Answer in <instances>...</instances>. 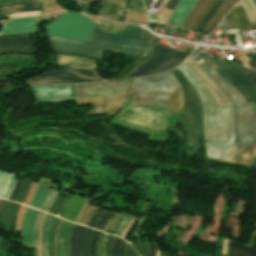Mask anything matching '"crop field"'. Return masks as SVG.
Wrapping results in <instances>:
<instances>
[{"mask_svg":"<svg viewBox=\"0 0 256 256\" xmlns=\"http://www.w3.org/2000/svg\"><path fill=\"white\" fill-rule=\"evenodd\" d=\"M125 244L126 242L114 236L111 248V256H124Z\"/></svg>","mask_w":256,"mask_h":256,"instance_id":"crop-field-28","label":"crop field"},{"mask_svg":"<svg viewBox=\"0 0 256 256\" xmlns=\"http://www.w3.org/2000/svg\"><path fill=\"white\" fill-rule=\"evenodd\" d=\"M70 70L75 71L83 76H89V77H94V78H98V76L96 75V73L92 70H82V69H72L70 68ZM99 79V78H98Z\"/></svg>","mask_w":256,"mask_h":256,"instance_id":"crop-field-41","label":"crop field"},{"mask_svg":"<svg viewBox=\"0 0 256 256\" xmlns=\"http://www.w3.org/2000/svg\"><path fill=\"white\" fill-rule=\"evenodd\" d=\"M200 66L225 90L235 105L237 145L232 164L251 166L256 152V106L227 81L214 72L206 62Z\"/></svg>","mask_w":256,"mask_h":256,"instance_id":"crop-field-3","label":"crop field"},{"mask_svg":"<svg viewBox=\"0 0 256 256\" xmlns=\"http://www.w3.org/2000/svg\"><path fill=\"white\" fill-rule=\"evenodd\" d=\"M60 185L61 184L53 183L52 191H51L48 199L46 200V202H45V204L42 208V211L48 212V210H49V208H50V206H51V204H52V202H53V200H54V198H55V196H56V194H57V192L60 188Z\"/></svg>","mask_w":256,"mask_h":256,"instance_id":"crop-field-35","label":"crop field"},{"mask_svg":"<svg viewBox=\"0 0 256 256\" xmlns=\"http://www.w3.org/2000/svg\"><path fill=\"white\" fill-rule=\"evenodd\" d=\"M52 219V216L46 215L44 224H43V233H42V254L43 256H47V231L48 225Z\"/></svg>","mask_w":256,"mask_h":256,"instance_id":"crop-field-33","label":"crop field"},{"mask_svg":"<svg viewBox=\"0 0 256 256\" xmlns=\"http://www.w3.org/2000/svg\"><path fill=\"white\" fill-rule=\"evenodd\" d=\"M92 229H88L84 235L83 239V246H82V256H88V246H89V241H90V236L92 233Z\"/></svg>","mask_w":256,"mask_h":256,"instance_id":"crop-field-37","label":"crop field"},{"mask_svg":"<svg viewBox=\"0 0 256 256\" xmlns=\"http://www.w3.org/2000/svg\"><path fill=\"white\" fill-rule=\"evenodd\" d=\"M133 94L129 95L122 110L111 123L149 134V139L163 140L164 127H175L182 122V108L132 105Z\"/></svg>","mask_w":256,"mask_h":256,"instance_id":"crop-field-4","label":"crop field"},{"mask_svg":"<svg viewBox=\"0 0 256 256\" xmlns=\"http://www.w3.org/2000/svg\"><path fill=\"white\" fill-rule=\"evenodd\" d=\"M134 250L127 244L126 245V251H125V256H133Z\"/></svg>","mask_w":256,"mask_h":256,"instance_id":"crop-field-47","label":"crop field"},{"mask_svg":"<svg viewBox=\"0 0 256 256\" xmlns=\"http://www.w3.org/2000/svg\"><path fill=\"white\" fill-rule=\"evenodd\" d=\"M29 33L0 36V49L28 46Z\"/></svg>","mask_w":256,"mask_h":256,"instance_id":"crop-field-23","label":"crop field"},{"mask_svg":"<svg viewBox=\"0 0 256 256\" xmlns=\"http://www.w3.org/2000/svg\"><path fill=\"white\" fill-rule=\"evenodd\" d=\"M184 90V123L187 128V145L199 143L202 133V103L181 72L170 70Z\"/></svg>","mask_w":256,"mask_h":256,"instance_id":"crop-field-7","label":"crop field"},{"mask_svg":"<svg viewBox=\"0 0 256 256\" xmlns=\"http://www.w3.org/2000/svg\"><path fill=\"white\" fill-rule=\"evenodd\" d=\"M37 53H38V47H25V48L0 50V55H8V54H37Z\"/></svg>","mask_w":256,"mask_h":256,"instance_id":"crop-field-29","label":"crop field"},{"mask_svg":"<svg viewBox=\"0 0 256 256\" xmlns=\"http://www.w3.org/2000/svg\"><path fill=\"white\" fill-rule=\"evenodd\" d=\"M253 169H255V170H256V161H255V164H254V166H253Z\"/></svg>","mask_w":256,"mask_h":256,"instance_id":"crop-field-51","label":"crop field"},{"mask_svg":"<svg viewBox=\"0 0 256 256\" xmlns=\"http://www.w3.org/2000/svg\"><path fill=\"white\" fill-rule=\"evenodd\" d=\"M32 90L37 102H57L76 99L74 84L63 86H43L32 88Z\"/></svg>","mask_w":256,"mask_h":256,"instance_id":"crop-field-13","label":"crop field"},{"mask_svg":"<svg viewBox=\"0 0 256 256\" xmlns=\"http://www.w3.org/2000/svg\"><path fill=\"white\" fill-rule=\"evenodd\" d=\"M40 14H43L42 11H38V12H28V13H18V14H8V15H1V16L18 17V16L40 15Z\"/></svg>","mask_w":256,"mask_h":256,"instance_id":"crop-field-43","label":"crop field"},{"mask_svg":"<svg viewBox=\"0 0 256 256\" xmlns=\"http://www.w3.org/2000/svg\"><path fill=\"white\" fill-rule=\"evenodd\" d=\"M226 26H219L220 30L241 27L242 30H256V24H250L244 11L239 5L225 16Z\"/></svg>","mask_w":256,"mask_h":256,"instance_id":"crop-field-17","label":"crop field"},{"mask_svg":"<svg viewBox=\"0 0 256 256\" xmlns=\"http://www.w3.org/2000/svg\"><path fill=\"white\" fill-rule=\"evenodd\" d=\"M124 215L125 213H115L114 216L111 218L110 222L108 223L105 231L114 233L118 223L120 222V220Z\"/></svg>","mask_w":256,"mask_h":256,"instance_id":"crop-field-36","label":"crop field"},{"mask_svg":"<svg viewBox=\"0 0 256 256\" xmlns=\"http://www.w3.org/2000/svg\"><path fill=\"white\" fill-rule=\"evenodd\" d=\"M146 30L129 24H123L120 33L139 38Z\"/></svg>","mask_w":256,"mask_h":256,"instance_id":"crop-field-32","label":"crop field"},{"mask_svg":"<svg viewBox=\"0 0 256 256\" xmlns=\"http://www.w3.org/2000/svg\"><path fill=\"white\" fill-rule=\"evenodd\" d=\"M248 65L250 68L256 69V60L249 61Z\"/></svg>","mask_w":256,"mask_h":256,"instance_id":"crop-field-48","label":"crop field"},{"mask_svg":"<svg viewBox=\"0 0 256 256\" xmlns=\"http://www.w3.org/2000/svg\"><path fill=\"white\" fill-rule=\"evenodd\" d=\"M42 10V3H32L26 5H16V6H7L0 8L1 13H10V12H21V11H35Z\"/></svg>","mask_w":256,"mask_h":256,"instance_id":"crop-field-25","label":"crop field"},{"mask_svg":"<svg viewBox=\"0 0 256 256\" xmlns=\"http://www.w3.org/2000/svg\"><path fill=\"white\" fill-rule=\"evenodd\" d=\"M249 256H256V232L254 234V238H253Z\"/></svg>","mask_w":256,"mask_h":256,"instance_id":"crop-field-44","label":"crop field"},{"mask_svg":"<svg viewBox=\"0 0 256 256\" xmlns=\"http://www.w3.org/2000/svg\"><path fill=\"white\" fill-rule=\"evenodd\" d=\"M238 66V65H237ZM244 74L256 85V70H251L247 68H242L238 66Z\"/></svg>","mask_w":256,"mask_h":256,"instance_id":"crop-field-39","label":"crop field"},{"mask_svg":"<svg viewBox=\"0 0 256 256\" xmlns=\"http://www.w3.org/2000/svg\"><path fill=\"white\" fill-rule=\"evenodd\" d=\"M134 256H137L136 252L134 253Z\"/></svg>","mask_w":256,"mask_h":256,"instance_id":"crop-field-52","label":"crop field"},{"mask_svg":"<svg viewBox=\"0 0 256 256\" xmlns=\"http://www.w3.org/2000/svg\"><path fill=\"white\" fill-rule=\"evenodd\" d=\"M99 231H93L90 247H89V256H95L96 242L99 236Z\"/></svg>","mask_w":256,"mask_h":256,"instance_id":"crop-field-38","label":"crop field"},{"mask_svg":"<svg viewBox=\"0 0 256 256\" xmlns=\"http://www.w3.org/2000/svg\"><path fill=\"white\" fill-rule=\"evenodd\" d=\"M133 80L77 84L78 104H94L90 113L112 115L123 103Z\"/></svg>","mask_w":256,"mask_h":256,"instance_id":"crop-field-6","label":"crop field"},{"mask_svg":"<svg viewBox=\"0 0 256 256\" xmlns=\"http://www.w3.org/2000/svg\"><path fill=\"white\" fill-rule=\"evenodd\" d=\"M52 181V180H51ZM51 181L40 176L38 185L35 189L29 206L41 209L51 187Z\"/></svg>","mask_w":256,"mask_h":256,"instance_id":"crop-field-19","label":"crop field"},{"mask_svg":"<svg viewBox=\"0 0 256 256\" xmlns=\"http://www.w3.org/2000/svg\"><path fill=\"white\" fill-rule=\"evenodd\" d=\"M85 200V197L73 195L65 212L63 211L62 218L74 222Z\"/></svg>","mask_w":256,"mask_h":256,"instance_id":"crop-field-24","label":"crop field"},{"mask_svg":"<svg viewBox=\"0 0 256 256\" xmlns=\"http://www.w3.org/2000/svg\"><path fill=\"white\" fill-rule=\"evenodd\" d=\"M85 230V227L74 225L69 242L70 256H81V245Z\"/></svg>","mask_w":256,"mask_h":256,"instance_id":"crop-field-22","label":"crop field"},{"mask_svg":"<svg viewBox=\"0 0 256 256\" xmlns=\"http://www.w3.org/2000/svg\"><path fill=\"white\" fill-rule=\"evenodd\" d=\"M197 1L198 0H179L170 18L168 19V22L181 25Z\"/></svg>","mask_w":256,"mask_h":256,"instance_id":"crop-field-21","label":"crop field"},{"mask_svg":"<svg viewBox=\"0 0 256 256\" xmlns=\"http://www.w3.org/2000/svg\"><path fill=\"white\" fill-rule=\"evenodd\" d=\"M22 180H23V178L17 177V181H16L14 189H13V191H12L10 197H9V200H13V201L15 200V198H16V196L18 194V191H19V189L21 187Z\"/></svg>","mask_w":256,"mask_h":256,"instance_id":"crop-field-40","label":"crop field"},{"mask_svg":"<svg viewBox=\"0 0 256 256\" xmlns=\"http://www.w3.org/2000/svg\"><path fill=\"white\" fill-rule=\"evenodd\" d=\"M113 214L114 212L104 210L102 216L100 217L98 223L95 226V229L103 231Z\"/></svg>","mask_w":256,"mask_h":256,"instance_id":"crop-field-34","label":"crop field"},{"mask_svg":"<svg viewBox=\"0 0 256 256\" xmlns=\"http://www.w3.org/2000/svg\"><path fill=\"white\" fill-rule=\"evenodd\" d=\"M104 236H105V234H103L102 240H101L100 256H102V245H103V241H104Z\"/></svg>","mask_w":256,"mask_h":256,"instance_id":"crop-field-49","label":"crop field"},{"mask_svg":"<svg viewBox=\"0 0 256 256\" xmlns=\"http://www.w3.org/2000/svg\"><path fill=\"white\" fill-rule=\"evenodd\" d=\"M131 93H134L133 104L182 107L181 88L170 71L138 78Z\"/></svg>","mask_w":256,"mask_h":256,"instance_id":"crop-field-5","label":"crop field"},{"mask_svg":"<svg viewBox=\"0 0 256 256\" xmlns=\"http://www.w3.org/2000/svg\"><path fill=\"white\" fill-rule=\"evenodd\" d=\"M55 64L74 68H95V61L73 56L57 55Z\"/></svg>","mask_w":256,"mask_h":256,"instance_id":"crop-field-20","label":"crop field"},{"mask_svg":"<svg viewBox=\"0 0 256 256\" xmlns=\"http://www.w3.org/2000/svg\"><path fill=\"white\" fill-rule=\"evenodd\" d=\"M155 247H156V243L151 242L149 252H148V256H155Z\"/></svg>","mask_w":256,"mask_h":256,"instance_id":"crop-field-46","label":"crop field"},{"mask_svg":"<svg viewBox=\"0 0 256 256\" xmlns=\"http://www.w3.org/2000/svg\"><path fill=\"white\" fill-rule=\"evenodd\" d=\"M252 2H253L254 6L256 8V0H252Z\"/></svg>","mask_w":256,"mask_h":256,"instance_id":"crop-field-50","label":"crop field"},{"mask_svg":"<svg viewBox=\"0 0 256 256\" xmlns=\"http://www.w3.org/2000/svg\"><path fill=\"white\" fill-rule=\"evenodd\" d=\"M73 223L60 220L55 235V256H69L68 242Z\"/></svg>","mask_w":256,"mask_h":256,"instance_id":"crop-field-15","label":"crop field"},{"mask_svg":"<svg viewBox=\"0 0 256 256\" xmlns=\"http://www.w3.org/2000/svg\"><path fill=\"white\" fill-rule=\"evenodd\" d=\"M177 1H178V0H169V1L166 3V5H165L164 8L173 10V8L175 7Z\"/></svg>","mask_w":256,"mask_h":256,"instance_id":"crop-field-45","label":"crop field"},{"mask_svg":"<svg viewBox=\"0 0 256 256\" xmlns=\"http://www.w3.org/2000/svg\"><path fill=\"white\" fill-rule=\"evenodd\" d=\"M122 24L98 19L87 41L48 37L51 48L66 53L102 60L103 50L114 53L136 54L146 57L155 46L149 41L154 37L147 31L139 38L118 33Z\"/></svg>","mask_w":256,"mask_h":256,"instance_id":"crop-field-1","label":"crop field"},{"mask_svg":"<svg viewBox=\"0 0 256 256\" xmlns=\"http://www.w3.org/2000/svg\"><path fill=\"white\" fill-rule=\"evenodd\" d=\"M45 215H46L45 213L40 211L36 221L35 239H34L36 256H42L41 255V231H42V222L45 218Z\"/></svg>","mask_w":256,"mask_h":256,"instance_id":"crop-field-26","label":"crop field"},{"mask_svg":"<svg viewBox=\"0 0 256 256\" xmlns=\"http://www.w3.org/2000/svg\"><path fill=\"white\" fill-rule=\"evenodd\" d=\"M241 5L251 23H256V10L251 0H242Z\"/></svg>","mask_w":256,"mask_h":256,"instance_id":"crop-field-30","label":"crop field"},{"mask_svg":"<svg viewBox=\"0 0 256 256\" xmlns=\"http://www.w3.org/2000/svg\"><path fill=\"white\" fill-rule=\"evenodd\" d=\"M177 68L198 92L203 103L207 159L230 163L235 147L233 106H217L214 96L183 63Z\"/></svg>","mask_w":256,"mask_h":256,"instance_id":"crop-field-2","label":"crop field"},{"mask_svg":"<svg viewBox=\"0 0 256 256\" xmlns=\"http://www.w3.org/2000/svg\"><path fill=\"white\" fill-rule=\"evenodd\" d=\"M36 31V17L12 19L4 25V34H15Z\"/></svg>","mask_w":256,"mask_h":256,"instance_id":"crop-field-18","label":"crop field"},{"mask_svg":"<svg viewBox=\"0 0 256 256\" xmlns=\"http://www.w3.org/2000/svg\"><path fill=\"white\" fill-rule=\"evenodd\" d=\"M222 3H223V1H221V0L216 1V3L213 5V7L210 9V11L205 16V18L202 20V22L196 28V30L203 31V29L206 27V25L208 24V22L213 17V15L218 10V8L221 6Z\"/></svg>","mask_w":256,"mask_h":256,"instance_id":"crop-field-31","label":"crop field"},{"mask_svg":"<svg viewBox=\"0 0 256 256\" xmlns=\"http://www.w3.org/2000/svg\"><path fill=\"white\" fill-rule=\"evenodd\" d=\"M103 212V209H99L97 208V210L95 211V213L93 214L91 220L88 223V226H91L94 228L99 216L101 215V213Z\"/></svg>","mask_w":256,"mask_h":256,"instance_id":"crop-field-42","label":"crop field"},{"mask_svg":"<svg viewBox=\"0 0 256 256\" xmlns=\"http://www.w3.org/2000/svg\"><path fill=\"white\" fill-rule=\"evenodd\" d=\"M167 256H169L168 253H167Z\"/></svg>","mask_w":256,"mask_h":256,"instance_id":"crop-field-53","label":"crop field"},{"mask_svg":"<svg viewBox=\"0 0 256 256\" xmlns=\"http://www.w3.org/2000/svg\"><path fill=\"white\" fill-rule=\"evenodd\" d=\"M38 210L27 208L21 223V239L22 245L31 246L33 245V236H34V228L35 221L38 215Z\"/></svg>","mask_w":256,"mask_h":256,"instance_id":"crop-field-16","label":"crop field"},{"mask_svg":"<svg viewBox=\"0 0 256 256\" xmlns=\"http://www.w3.org/2000/svg\"><path fill=\"white\" fill-rule=\"evenodd\" d=\"M249 250V247L230 241L228 256H248Z\"/></svg>","mask_w":256,"mask_h":256,"instance_id":"crop-field-27","label":"crop field"},{"mask_svg":"<svg viewBox=\"0 0 256 256\" xmlns=\"http://www.w3.org/2000/svg\"><path fill=\"white\" fill-rule=\"evenodd\" d=\"M215 71L232 84L244 96L247 102L256 101V88L249 79L236 68L234 63L215 69Z\"/></svg>","mask_w":256,"mask_h":256,"instance_id":"crop-field-11","label":"crop field"},{"mask_svg":"<svg viewBox=\"0 0 256 256\" xmlns=\"http://www.w3.org/2000/svg\"><path fill=\"white\" fill-rule=\"evenodd\" d=\"M95 1H105V0H95ZM92 3L93 1L85 3L82 8V11L84 13H87L99 18V15H94L89 13ZM125 11L144 14L143 9L139 4L138 0H122L120 4L107 1L100 14H101V17L104 19L123 22Z\"/></svg>","mask_w":256,"mask_h":256,"instance_id":"crop-field-10","label":"crop field"},{"mask_svg":"<svg viewBox=\"0 0 256 256\" xmlns=\"http://www.w3.org/2000/svg\"><path fill=\"white\" fill-rule=\"evenodd\" d=\"M91 81H100V80L81 77L67 70H54L51 72L44 73L34 79H31L27 81V83L30 85V87H33V86H39V85H62V84L82 83V82H91Z\"/></svg>","mask_w":256,"mask_h":256,"instance_id":"crop-field-12","label":"crop field"},{"mask_svg":"<svg viewBox=\"0 0 256 256\" xmlns=\"http://www.w3.org/2000/svg\"><path fill=\"white\" fill-rule=\"evenodd\" d=\"M160 39L154 37L150 42L155 48L147 59L125 77L146 76L171 69L180 64L186 53L178 52L169 46L158 42Z\"/></svg>","mask_w":256,"mask_h":256,"instance_id":"crop-field-8","label":"crop field"},{"mask_svg":"<svg viewBox=\"0 0 256 256\" xmlns=\"http://www.w3.org/2000/svg\"><path fill=\"white\" fill-rule=\"evenodd\" d=\"M94 22L81 14L63 12L61 18L46 25L48 36H61L87 40Z\"/></svg>","mask_w":256,"mask_h":256,"instance_id":"crop-field-9","label":"crop field"},{"mask_svg":"<svg viewBox=\"0 0 256 256\" xmlns=\"http://www.w3.org/2000/svg\"><path fill=\"white\" fill-rule=\"evenodd\" d=\"M184 64L195 74V76L211 91L215 96L218 105L232 104L222 88L214 82L194 61L189 57Z\"/></svg>","mask_w":256,"mask_h":256,"instance_id":"crop-field-14","label":"crop field"}]
</instances>
